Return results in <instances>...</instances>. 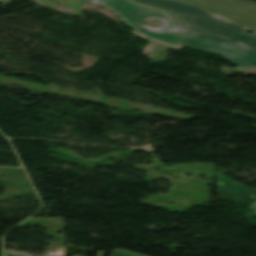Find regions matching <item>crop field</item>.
I'll return each instance as SVG.
<instances>
[{
    "label": "crop field",
    "instance_id": "d8731c3e",
    "mask_svg": "<svg viewBox=\"0 0 256 256\" xmlns=\"http://www.w3.org/2000/svg\"><path fill=\"white\" fill-rule=\"evenodd\" d=\"M89 1H92V2H96V3H98V1H99V0H89Z\"/></svg>",
    "mask_w": 256,
    "mask_h": 256
},
{
    "label": "crop field",
    "instance_id": "412701ff",
    "mask_svg": "<svg viewBox=\"0 0 256 256\" xmlns=\"http://www.w3.org/2000/svg\"><path fill=\"white\" fill-rule=\"evenodd\" d=\"M216 179L220 181L217 183L218 188L224 191L225 193H234V194L244 195V196H248L253 200H256V194L250 192L248 188L228 178L227 176L217 172Z\"/></svg>",
    "mask_w": 256,
    "mask_h": 256
},
{
    "label": "crop field",
    "instance_id": "e52e79f7",
    "mask_svg": "<svg viewBox=\"0 0 256 256\" xmlns=\"http://www.w3.org/2000/svg\"><path fill=\"white\" fill-rule=\"evenodd\" d=\"M5 256H22V255H15V254L5 252Z\"/></svg>",
    "mask_w": 256,
    "mask_h": 256
},
{
    "label": "crop field",
    "instance_id": "8a807250",
    "mask_svg": "<svg viewBox=\"0 0 256 256\" xmlns=\"http://www.w3.org/2000/svg\"><path fill=\"white\" fill-rule=\"evenodd\" d=\"M134 1L169 12L176 21L184 46L220 54L240 71L256 66V31L187 2ZM246 29L254 34L250 35Z\"/></svg>",
    "mask_w": 256,
    "mask_h": 256
},
{
    "label": "crop field",
    "instance_id": "f4fd0767",
    "mask_svg": "<svg viewBox=\"0 0 256 256\" xmlns=\"http://www.w3.org/2000/svg\"><path fill=\"white\" fill-rule=\"evenodd\" d=\"M114 256H143V255H140V254H132L130 252H127V251H122V250H115L114 251Z\"/></svg>",
    "mask_w": 256,
    "mask_h": 256
},
{
    "label": "crop field",
    "instance_id": "dd49c442",
    "mask_svg": "<svg viewBox=\"0 0 256 256\" xmlns=\"http://www.w3.org/2000/svg\"><path fill=\"white\" fill-rule=\"evenodd\" d=\"M248 208L256 212V201H254Z\"/></svg>",
    "mask_w": 256,
    "mask_h": 256
},
{
    "label": "crop field",
    "instance_id": "34b2d1b8",
    "mask_svg": "<svg viewBox=\"0 0 256 256\" xmlns=\"http://www.w3.org/2000/svg\"><path fill=\"white\" fill-rule=\"evenodd\" d=\"M256 29V3L247 0H186Z\"/></svg>",
    "mask_w": 256,
    "mask_h": 256
},
{
    "label": "crop field",
    "instance_id": "ac0d7876",
    "mask_svg": "<svg viewBox=\"0 0 256 256\" xmlns=\"http://www.w3.org/2000/svg\"><path fill=\"white\" fill-rule=\"evenodd\" d=\"M98 4L115 12L139 36L176 49L184 47L173 17L166 11L133 0H100ZM151 18L162 20L164 26L154 29L144 25Z\"/></svg>",
    "mask_w": 256,
    "mask_h": 256
}]
</instances>
